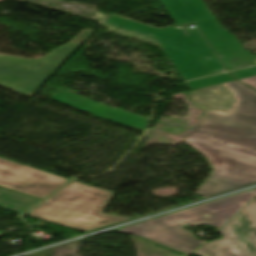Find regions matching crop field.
Wrapping results in <instances>:
<instances>
[{
    "label": "crop field",
    "instance_id": "dd49c442",
    "mask_svg": "<svg viewBox=\"0 0 256 256\" xmlns=\"http://www.w3.org/2000/svg\"><path fill=\"white\" fill-rule=\"evenodd\" d=\"M223 239L206 243L199 256H256V198L219 231Z\"/></svg>",
    "mask_w": 256,
    "mask_h": 256
},
{
    "label": "crop field",
    "instance_id": "d1516ede",
    "mask_svg": "<svg viewBox=\"0 0 256 256\" xmlns=\"http://www.w3.org/2000/svg\"><path fill=\"white\" fill-rule=\"evenodd\" d=\"M177 24H192L188 14L177 0H160Z\"/></svg>",
    "mask_w": 256,
    "mask_h": 256
},
{
    "label": "crop field",
    "instance_id": "28ad6ade",
    "mask_svg": "<svg viewBox=\"0 0 256 256\" xmlns=\"http://www.w3.org/2000/svg\"><path fill=\"white\" fill-rule=\"evenodd\" d=\"M105 22L110 23L112 25L118 26L123 29H127L130 31H134L136 33L154 38L153 32L155 29L154 27L144 25L126 18H122L116 15H112L108 18ZM155 39V38H154Z\"/></svg>",
    "mask_w": 256,
    "mask_h": 256
},
{
    "label": "crop field",
    "instance_id": "cbeb9de0",
    "mask_svg": "<svg viewBox=\"0 0 256 256\" xmlns=\"http://www.w3.org/2000/svg\"><path fill=\"white\" fill-rule=\"evenodd\" d=\"M231 74L237 79L254 76V75H256V66L247 68V69H243V70H239V71H235V72H231Z\"/></svg>",
    "mask_w": 256,
    "mask_h": 256
},
{
    "label": "crop field",
    "instance_id": "22f410ed",
    "mask_svg": "<svg viewBox=\"0 0 256 256\" xmlns=\"http://www.w3.org/2000/svg\"><path fill=\"white\" fill-rule=\"evenodd\" d=\"M235 79L228 73L213 76V77H208L192 82H188V86L191 88V90L202 88V87H207L211 85H216L224 82H229V81H234Z\"/></svg>",
    "mask_w": 256,
    "mask_h": 256
},
{
    "label": "crop field",
    "instance_id": "733c2abd",
    "mask_svg": "<svg viewBox=\"0 0 256 256\" xmlns=\"http://www.w3.org/2000/svg\"><path fill=\"white\" fill-rule=\"evenodd\" d=\"M0 1H2V0H0Z\"/></svg>",
    "mask_w": 256,
    "mask_h": 256
},
{
    "label": "crop field",
    "instance_id": "5142ce71",
    "mask_svg": "<svg viewBox=\"0 0 256 256\" xmlns=\"http://www.w3.org/2000/svg\"><path fill=\"white\" fill-rule=\"evenodd\" d=\"M242 82L256 88V76L254 77H249V78H245V79H241Z\"/></svg>",
    "mask_w": 256,
    "mask_h": 256
},
{
    "label": "crop field",
    "instance_id": "d8731c3e",
    "mask_svg": "<svg viewBox=\"0 0 256 256\" xmlns=\"http://www.w3.org/2000/svg\"><path fill=\"white\" fill-rule=\"evenodd\" d=\"M197 26L216 53L223 56L222 60L229 70L255 64L252 54L244 50L235 35L223 30L217 20L198 23Z\"/></svg>",
    "mask_w": 256,
    "mask_h": 256
},
{
    "label": "crop field",
    "instance_id": "8a807250",
    "mask_svg": "<svg viewBox=\"0 0 256 256\" xmlns=\"http://www.w3.org/2000/svg\"><path fill=\"white\" fill-rule=\"evenodd\" d=\"M228 84L241 99L232 114L206 113L185 141L215 168L196 192L203 197L256 183V91L238 81Z\"/></svg>",
    "mask_w": 256,
    "mask_h": 256
},
{
    "label": "crop field",
    "instance_id": "5a996713",
    "mask_svg": "<svg viewBox=\"0 0 256 256\" xmlns=\"http://www.w3.org/2000/svg\"><path fill=\"white\" fill-rule=\"evenodd\" d=\"M41 199L0 188V205L3 209L24 213Z\"/></svg>",
    "mask_w": 256,
    "mask_h": 256
},
{
    "label": "crop field",
    "instance_id": "3316defc",
    "mask_svg": "<svg viewBox=\"0 0 256 256\" xmlns=\"http://www.w3.org/2000/svg\"><path fill=\"white\" fill-rule=\"evenodd\" d=\"M179 2L194 23L215 19L203 0H179Z\"/></svg>",
    "mask_w": 256,
    "mask_h": 256
},
{
    "label": "crop field",
    "instance_id": "34b2d1b8",
    "mask_svg": "<svg viewBox=\"0 0 256 256\" xmlns=\"http://www.w3.org/2000/svg\"><path fill=\"white\" fill-rule=\"evenodd\" d=\"M113 192L73 181L27 215L89 232L134 218L102 214Z\"/></svg>",
    "mask_w": 256,
    "mask_h": 256
},
{
    "label": "crop field",
    "instance_id": "d9b57169",
    "mask_svg": "<svg viewBox=\"0 0 256 256\" xmlns=\"http://www.w3.org/2000/svg\"><path fill=\"white\" fill-rule=\"evenodd\" d=\"M97 117V116H96ZM99 118V117H98ZM102 119V118H101Z\"/></svg>",
    "mask_w": 256,
    "mask_h": 256
},
{
    "label": "crop field",
    "instance_id": "412701ff",
    "mask_svg": "<svg viewBox=\"0 0 256 256\" xmlns=\"http://www.w3.org/2000/svg\"><path fill=\"white\" fill-rule=\"evenodd\" d=\"M154 35L185 80L225 71L197 29L174 26L158 29Z\"/></svg>",
    "mask_w": 256,
    "mask_h": 256
},
{
    "label": "crop field",
    "instance_id": "e52e79f7",
    "mask_svg": "<svg viewBox=\"0 0 256 256\" xmlns=\"http://www.w3.org/2000/svg\"><path fill=\"white\" fill-rule=\"evenodd\" d=\"M70 179L0 158V186L43 199Z\"/></svg>",
    "mask_w": 256,
    "mask_h": 256
},
{
    "label": "crop field",
    "instance_id": "f4fd0767",
    "mask_svg": "<svg viewBox=\"0 0 256 256\" xmlns=\"http://www.w3.org/2000/svg\"><path fill=\"white\" fill-rule=\"evenodd\" d=\"M91 34L84 30L68 44L36 60L0 55V86L31 97Z\"/></svg>",
    "mask_w": 256,
    "mask_h": 256
},
{
    "label": "crop field",
    "instance_id": "ac0d7876",
    "mask_svg": "<svg viewBox=\"0 0 256 256\" xmlns=\"http://www.w3.org/2000/svg\"><path fill=\"white\" fill-rule=\"evenodd\" d=\"M256 195V189L177 211L142 223L128 226L117 232L138 235L175 250L190 254L203 242L182 229L184 224L209 225L220 228ZM203 214L211 216L210 219Z\"/></svg>",
    "mask_w": 256,
    "mask_h": 256
}]
</instances>
